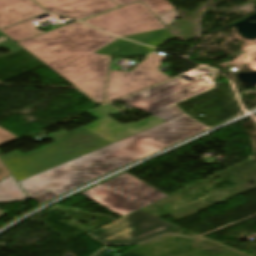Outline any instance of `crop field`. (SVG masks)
Masks as SVG:
<instances>
[{
	"label": "crop field",
	"mask_w": 256,
	"mask_h": 256,
	"mask_svg": "<svg viewBox=\"0 0 256 256\" xmlns=\"http://www.w3.org/2000/svg\"><path fill=\"white\" fill-rule=\"evenodd\" d=\"M116 39L74 22L18 44L86 95L102 102L110 56L93 52Z\"/></svg>",
	"instance_id": "2"
},
{
	"label": "crop field",
	"mask_w": 256,
	"mask_h": 256,
	"mask_svg": "<svg viewBox=\"0 0 256 256\" xmlns=\"http://www.w3.org/2000/svg\"><path fill=\"white\" fill-rule=\"evenodd\" d=\"M49 139L54 143L26 155L15 150L1 156L17 181L109 144L83 127L70 133L60 130Z\"/></svg>",
	"instance_id": "3"
},
{
	"label": "crop field",
	"mask_w": 256,
	"mask_h": 256,
	"mask_svg": "<svg viewBox=\"0 0 256 256\" xmlns=\"http://www.w3.org/2000/svg\"><path fill=\"white\" fill-rule=\"evenodd\" d=\"M13 179L9 176L4 181L0 182V203L27 200V196Z\"/></svg>",
	"instance_id": "13"
},
{
	"label": "crop field",
	"mask_w": 256,
	"mask_h": 256,
	"mask_svg": "<svg viewBox=\"0 0 256 256\" xmlns=\"http://www.w3.org/2000/svg\"><path fill=\"white\" fill-rule=\"evenodd\" d=\"M154 48H150L137 43L125 41L123 39L111 44L110 46L98 51L97 53L111 54L117 57L145 56Z\"/></svg>",
	"instance_id": "12"
},
{
	"label": "crop field",
	"mask_w": 256,
	"mask_h": 256,
	"mask_svg": "<svg viewBox=\"0 0 256 256\" xmlns=\"http://www.w3.org/2000/svg\"><path fill=\"white\" fill-rule=\"evenodd\" d=\"M43 7L52 6L51 13L80 20L118 7L110 0H35Z\"/></svg>",
	"instance_id": "10"
},
{
	"label": "crop field",
	"mask_w": 256,
	"mask_h": 256,
	"mask_svg": "<svg viewBox=\"0 0 256 256\" xmlns=\"http://www.w3.org/2000/svg\"><path fill=\"white\" fill-rule=\"evenodd\" d=\"M47 11H50L51 9H53L52 7H49V8H45Z\"/></svg>",
	"instance_id": "22"
},
{
	"label": "crop field",
	"mask_w": 256,
	"mask_h": 256,
	"mask_svg": "<svg viewBox=\"0 0 256 256\" xmlns=\"http://www.w3.org/2000/svg\"><path fill=\"white\" fill-rule=\"evenodd\" d=\"M114 2H116L117 4L119 5H126L132 1H135V0H113Z\"/></svg>",
	"instance_id": "21"
},
{
	"label": "crop field",
	"mask_w": 256,
	"mask_h": 256,
	"mask_svg": "<svg viewBox=\"0 0 256 256\" xmlns=\"http://www.w3.org/2000/svg\"><path fill=\"white\" fill-rule=\"evenodd\" d=\"M16 138L18 137L0 127V144H3Z\"/></svg>",
	"instance_id": "17"
},
{
	"label": "crop field",
	"mask_w": 256,
	"mask_h": 256,
	"mask_svg": "<svg viewBox=\"0 0 256 256\" xmlns=\"http://www.w3.org/2000/svg\"><path fill=\"white\" fill-rule=\"evenodd\" d=\"M178 228L138 210L87 234L104 245L135 244Z\"/></svg>",
	"instance_id": "5"
},
{
	"label": "crop field",
	"mask_w": 256,
	"mask_h": 256,
	"mask_svg": "<svg viewBox=\"0 0 256 256\" xmlns=\"http://www.w3.org/2000/svg\"><path fill=\"white\" fill-rule=\"evenodd\" d=\"M82 22L119 36L164 28L141 2L106 12Z\"/></svg>",
	"instance_id": "7"
},
{
	"label": "crop field",
	"mask_w": 256,
	"mask_h": 256,
	"mask_svg": "<svg viewBox=\"0 0 256 256\" xmlns=\"http://www.w3.org/2000/svg\"><path fill=\"white\" fill-rule=\"evenodd\" d=\"M111 106L107 105L99 109L88 112L98 121L84 126L88 130L97 134L106 141L113 143L165 121L158 119L154 116L146 118L137 123H129L121 125L115 120L111 119L107 115L111 114L109 111L112 110Z\"/></svg>",
	"instance_id": "9"
},
{
	"label": "crop field",
	"mask_w": 256,
	"mask_h": 256,
	"mask_svg": "<svg viewBox=\"0 0 256 256\" xmlns=\"http://www.w3.org/2000/svg\"><path fill=\"white\" fill-rule=\"evenodd\" d=\"M137 1H140V0H137ZM137 1H135V2H137ZM142 1L152 11V13L156 17L161 16V15L175 9L166 0H142Z\"/></svg>",
	"instance_id": "16"
},
{
	"label": "crop field",
	"mask_w": 256,
	"mask_h": 256,
	"mask_svg": "<svg viewBox=\"0 0 256 256\" xmlns=\"http://www.w3.org/2000/svg\"><path fill=\"white\" fill-rule=\"evenodd\" d=\"M172 37L174 36L167 29H164L125 38L157 47Z\"/></svg>",
	"instance_id": "15"
},
{
	"label": "crop field",
	"mask_w": 256,
	"mask_h": 256,
	"mask_svg": "<svg viewBox=\"0 0 256 256\" xmlns=\"http://www.w3.org/2000/svg\"><path fill=\"white\" fill-rule=\"evenodd\" d=\"M34 20V19H32ZM32 20L25 21L22 23H19L17 25L4 28L0 30L5 35L13 39L14 41L18 42L21 40H24L26 38L38 35L40 33H43L41 31H38L31 23Z\"/></svg>",
	"instance_id": "14"
},
{
	"label": "crop field",
	"mask_w": 256,
	"mask_h": 256,
	"mask_svg": "<svg viewBox=\"0 0 256 256\" xmlns=\"http://www.w3.org/2000/svg\"><path fill=\"white\" fill-rule=\"evenodd\" d=\"M37 5L31 0H0V28L45 13Z\"/></svg>",
	"instance_id": "11"
},
{
	"label": "crop field",
	"mask_w": 256,
	"mask_h": 256,
	"mask_svg": "<svg viewBox=\"0 0 256 256\" xmlns=\"http://www.w3.org/2000/svg\"><path fill=\"white\" fill-rule=\"evenodd\" d=\"M106 250H108V249L104 248L102 251H100V252H99L97 255H95V256H113V255H111V254L105 252ZM119 256H140V255H137V254H134V253H131V252L126 251V252H124L123 254H121V255H119Z\"/></svg>",
	"instance_id": "19"
},
{
	"label": "crop field",
	"mask_w": 256,
	"mask_h": 256,
	"mask_svg": "<svg viewBox=\"0 0 256 256\" xmlns=\"http://www.w3.org/2000/svg\"><path fill=\"white\" fill-rule=\"evenodd\" d=\"M165 58L166 56L153 53L141 61L131 72L110 70L105 103L170 78L156 69Z\"/></svg>",
	"instance_id": "8"
},
{
	"label": "crop field",
	"mask_w": 256,
	"mask_h": 256,
	"mask_svg": "<svg viewBox=\"0 0 256 256\" xmlns=\"http://www.w3.org/2000/svg\"><path fill=\"white\" fill-rule=\"evenodd\" d=\"M178 14L176 12V10L162 16V17H159L158 19H160L165 26L169 25L170 23H172L176 18H178Z\"/></svg>",
	"instance_id": "18"
},
{
	"label": "crop field",
	"mask_w": 256,
	"mask_h": 256,
	"mask_svg": "<svg viewBox=\"0 0 256 256\" xmlns=\"http://www.w3.org/2000/svg\"><path fill=\"white\" fill-rule=\"evenodd\" d=\"M153 115L167 122L21 180L19 184L30 199L42 205L97 177L209 129L186 116L176 105Z\"/></svg>",
	"instance_id": "1"
},
{
	"label": "crop field",
	"mask_w": 256,
	"mask_h": 256,
	"mask_svg": "<svg viewBox=\"0 0 256 256\" xmlns=\"http://www.w3.org/2000/svg\"><path fill=\"white\" fill-rule=\"evenodd\" d=\"M213 88L200 79L187 82L177 78L120 101L153 114Z\"/></svg>",
	"instance_id": "6"
},
{
	"label": "crop field",
	"mask_w": 256,
	"mask_h": 256,
	"mask_svg": "<svg viewBox=\"0 0 256 256\" xmlns=\"http://www.w3.org/2000/svg\"><path fill=\"white\" fill-rule=\"evenodd\" d=\"M8 175H10V174L7 172V170L0 163V179L6 177Z\"/></svg>",
	"instance_id": "20"
},
{
	"label": "crop field",
	"mask_w": 256,
	"mask_h": 256,
	"mask_svg": "<svg viewBox=\"0 0 256 256\" xmlns=\"http://www.w3.org/2000/svg\"><path fill=\"white\" fill-rule=\"evenodd\" d=\"M126 173L81 194L122 216L168 196Z\"/></svg>",
	"instance_id": "4"
},
{
	"label": "crop field",
	"mask_w": 256,
	"mask_h": 256,
	"mask_svg": "<svg viewBox=\"0 0 256 256\" xmlns=\"http://www.w3.org/2000/svg\"><path fill=\"white\" fill-rule=\"evenodd\" d=\"M3 215H5V214L0 211V217H2Z\"/></svg>",
	"instance_id": "23"
}]
</instances>
